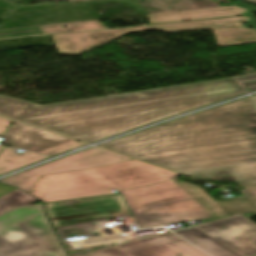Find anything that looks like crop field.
<instances>
[{"label": "crop field", "mask_w": 256, "mask_h": 256, "mask_svg": "<svg viewBox=\"0 0 256 256\" xmlns=\"http://www.w3.org/2000/svg\"><path fill=\"white\" fill-rule=\"evenodd\" d=\"M186 175L227 170L256 186V111L249 98L98 145Z\"/></svg>", "instance_id": "obj_1"}, {"label": "crop field", "mask_w": 256, "mask_h": 256, "mask_svg": "<svg viewBox=\"0 0 256 256\" xmlns=\"http://www.w3.org/2000/svg\"><path fill=\"white\" fill-rule=\"evenodd\" d=\"M245 93L229 78L43 106L0 95V114L91 143Z\"/></svg>", "instance_id": "obj_2"}, {"label": "crop field", "mask_w": 256, "mask_h": 256, "mask_svg": "<svg viewBox=\"0 0 256 256\" xmlns=\"http://www.w3.org/2000/svg\"><path fill=\"white\" fill-rule=\"evenodd\" d=\"M120 192L139 227L256 212L245 196L214 201L202 188L176 179Z\"/></svg>", "instance_id": "obj_3"}, {"label": "crop field", "mask_w": 256, "mask_h": 256, "mask_svg": "<svg viewBox=\"0 0 256 256\" xmlns=\"http://www.w3.org/2000/svg\"><path fill=\"white\" fill-rule=\"evenodd\" d=\"M178 175L131 160L89 170L40 176L28 193L48 203L110 195L109 189L137 187Z\"/></svg>", "instance_id": "obj_4"}, {"label": "crop field", "mask_w": 256, "mask_h": 256, "mask_svg": "<svg viewBox=\"0 0 256 256\" xmlns=\"http://www.w3.org/2000/svg\"><path fill=\"white\" fill-rule=\"evenodd\" d=\"M250 16L138 26L114 30L51 35L60 55L79 56L106 42L136 31L157 29L168 33L212 28L218 46L256 43V29L243 27L241 22L250 21Z\"/></svg>", "instance_id": "obj_5"}, {"label": "crop field", "mask_w": 256, "mask_h": 256, "mask_svg": "<svg viewBox=\"0 0 256 256\" xmlns=\"http://www.w3.org/2000/svg\"><path fill=\"white\" fill-rule=\"evenodd\" d=\"M42 207H17L0 215V256H67Z\"/></svg>", "instance_id": "obj_6"}, {"label": "crop field", "mask_w": 256, "mask_h": 256, "mask_svg": "<svg viewBox=\"0 0 256 256\" xmlns=\"http://www.w3.org/2000/svg\"><path fill=\"white\" fill-rule=\"evenodd\" d=\"M174 233L212 256L256 255V225L241 215L195 225Z\"/></svg>", "instance_id": "obj_7"}, {"label": "crop field", "mask_w": 256, "mask_h": 256, "mask_svg": "<svg viewBox=\"0 0 256 256\" xmlns=\"http://www.w3.org/2000/svg\"><path fill=\"white\" fill-rule=\"evenodd\" d=\"M44 211L65 250H68L69 247L64 238L87 234L81 223L131 213L121 193L48 203L45 204Z\"/></svg>", "instance_id": "obj_8"}, {"label": "crop field", "mask_w": 256, "mask_h": 256, "mask_svg": "<svg viewBox=\"0 0 256 256\" xmlns=\"http://www.w3.org/2000/svg\"><path fill=\"white\" fill-rule=\"evenodd\" d=\"M131 160L95 147L64 157L24 173L1 180L26 192L40 175L88 169L107 164Z\"/></svg>", "instance_id": "obj_9"}, {"label": "crop field", "mask_w": 256, "mask_h": 256, "mask_svg": "<svg viewBox=\"0 0 256 256\" xmlns=\"http://www.w3.org/2000/svg\"><path fill=\"white\" fill-rule=\"evenodd\" d=\"M89 256H208L167 232L150 238L86 253Z\"/></svg>", "instance_id": "obj_10"}, {"label": "crop field", "mask_w": 256, "mask_h": 256, "mask_svg": "<svg viewBox=\"0 0 256 256\" xmlns=\"http://www.w3.org/2000/svg\"><path fill=\"white\" fill-rule=\"evenodd\" d=\"M1 137L4 138L1 143L47 157L86 145L18 122H15Z\"/></svg>", "instance_id": "obj_11"}, {"label": "crop field", "mask_w": 256, "mask_h": 256, "mask_svg": "<svg viewBox=\"0 0 256 256\" xmlns=\"http://www.w3.org/2000/svg\"><path fill=\"white\" fill-rule=\"evenodd\" d=\"M248 8L241 5L147 15L150 24L205 20L239 16Z\"/></svg>", "instance_id": "obj_12"}, {"label": "crop field", "mask_w": 256, "mask_h": 256, "mask_svg": "<svg viewBox=\"0 0 256 256\" xmlns=\"http://www.w3.org/2000/svg\"><path fill=\"white\" fill-rule=\"evenodd\" d=\"M102 220L103 219L83 223L89 235L66 239L71 249L67 251L69 256L113 246V243L106 233Z\"/></svg>", "instance_id": "obj_13"}, {"label": "crop field", "mask_w": 256, "mask_h": 256, "mask_svg": "<svg viewBox=\"0 0 256 256\" xmlns=\"http://www.w3.org/2000/svg\"><path fill=\"white\" fill-rule=\"evenodd\" d=\"M14 150V148L5 146L1 151L0 175L47 158L27 151L18 154Z\"/></svg>", "instance_id": "obj_14"}, {"label": "crop field", "mask_w": 256, "mask_h": 256, "mask_svg": "<svg viewBox=\"0 0 256 256\" xmlns=\"http://www.w3.org/2000/svg\"><path fill=\"white\" fill-rule=\"evenodd\" d=\"M65 26V28H61ZM43 34L107 28L98 20L39 26Z\"/></svg>", "instance_id": "obj_15"}, {"label": "crop field", "mask_w": 256, "mask_h": 256, "mask_svg": "<svg viewBox=\"0 0 256 256\" xmlns=\"http://www.w3.org/2000/svg\"><path fill=\"white\" fill-rule=\"evenodd\" d=\"M40 201L33 196L21 191L14 190L0 197V214L17 206L28 205L33 202Z\"/></svg>", "instance_id": "obj_16"}, {"label": "crop field", "mask_w": 256, "mask_h": 256, "mask_svg": "<svg viewBox=\"0 0 256 256\" xmlns=\"http://www.w3.org/2000/svg\"><path fill=\"white\" fill-rule=\"evenodd\" d=\"M226 172V175L222 176H201V177H197L196 175H191L193 177H196L198 179L201 180H226V181H232L234 183H237L239 185H241L236 179H234L227 171H223ZM217 173H221V172H215V173H207V174H217ZM199 175H205V174H199Z\"/></svg>", "instance_id": "obj_17"}, {"label": "crop field", "mask_w": 256, "mask_h": 256, "mask_svg": "<svg viewBox=\"0 0 256 256\" xmlns=\"http://www.w3.org/2000/svg\"><path fill=\"white\" fill-rule=\"evenodd\" d=\"M236 79L240 82V84L245 88V90L247 92L256 90V87L251 88V89L248 88V86L256 85V81H254V82L249 81V80L256 79V74L242 76V77H236ZM242 81H247V83H243Z\"/></svg>", "instance_id": "obj_18"}, {"label": "crop field", "mask_w": 256, "mask_h": 256, "mask_svg": "<svg viewBox=\"0 0 256 256\" xmlns=\"http://www.w3.org/2000/svg\"><path fill=\"white\" fill-rule=\"evenodd\" d=\"M242 193L256 205V188L246 189Z\"/></svg>", "instance_id": "obj_19"}, {"label": "crop field", "mask_w": 256, "mask_h": 256, "mask_svg": "<svg viewBox=\"0 0 256 256\" xmlns=\"http://www.w3.org/2000/svg\"><path fill=\"white\" fill-rule=\"evenodd\" d=\"M12 120L0 117V134L11 124Z\"/></svg>", "instance_id": "obj_20"}, {"label": "crop field", "mask_w": 256, "mask_h": 256, "mask_svg": "<svg viewBox=\"0 0 256 256\" xmlns=\"http://www.w3.org/2000/svg\"><path fill=\"white\" fill-rule=\"evenodd\" d=\"M54 1L75 2V1H83V0H54Z\"/></svg>", "instance_id": "obj_21"}, {"label": "crop field", "mask_w": 256, "mask_h": 256, "mask_svg": "<svg viewBox=\"0 0 256 256\" xmlns=\"http://www.w3.org/2000/svg\"><path fill=\"white\" fill-rule=\"evenodd\" d=\"M244 1H247V2H250V3H256V0H244Z\"/></svg>", "instance_id": "obj_22"}, {"label": "crop field", "mask_w": 256, "mask_h": 256, "mask_svg": "<svg viewBox=\"0 0 256 256\" xmlns=\"http://www.w3.org/2000/svg\"><path fill=\"white\" fill-rule=\"evenodd\" d=\"M253 97H254V99H255V101H256V95H254Z\"/></svg>", "instance_id": "obj_23"}, {"label": "crop field", "mask_w": 256, "mask_h": 256, "mask_svg": "<svg viewBox=\"0 0 256 256\" xmlns=\"http://www.w3.org/2000/svg\"><path fill=\"white\" fill-rule=\"evenodd\" d=\"M2 147H3V146H2V145H0V150L2 149Z\"/></svg>", "instance_id": "obj_24"}, {"label": "crop field", "mask_w": 256, "mask_h": 256, "mask_svg": "<svg viewBox=\"0 0 256 256\" xmlns=\"http://www.w3.org/2000/svg\"><path fill=\"white\" fill-rule=\"evenodd\" d=\"M78 256H86V255L82 254V255H78Z\"/></svg>", "instance_id": "obj_25"}]
</instances>
